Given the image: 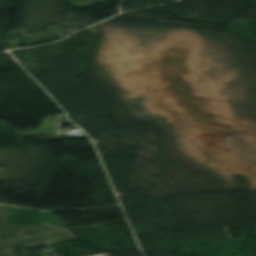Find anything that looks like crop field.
<instances>
[{
  "label": "crop field",
  "instance_id": "crop-field-1",
  "mask_svg": "<svg viewBox=\"0 0 256 256\" xmlns=\"http://www.w3.org/2000/svg\"><path fill=\"white\" fill-rule=\"evenodd\" d=\"M75 239L65 227H52L46 222L0 231V249L3 256H15L11 246L24 248L52 242Z\"/></svg>",
  "mask_w": 256,
  "mask_h": 256
}]
</instances>
